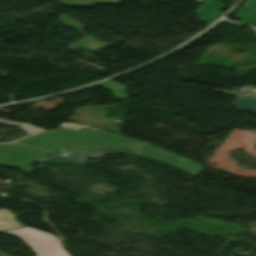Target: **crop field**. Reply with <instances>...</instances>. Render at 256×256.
Returning a JSON list of instances; mask_svg holds the SVG:
<instances>
[{"label": "crop field", "instance_id": "crop-field-1", "mask_svg": "<svg viewBox=\"0 0 256 256\" xmlns=\"http://www.w3.org/2000/svg\"><path fill=\"white\" fill-rule=\"evenodd\" d=\"M136 141L106 133L102 130H63L40 133L0 145V159L12 164H30L48 151H60L82 146H135Z\"/></svg>", "mask_w": 256, "mask_h": 256}, {"label": "crop field", "instance_id": "crop-field-2", "mask_svg": "<svg viewBox=\"0 0 256 256\" xmlns=\"http://www.w3.org/2000/svg\"><path fill=\"white\" fill-rule=\"evenodd\" d=\"M9 212L6 209L0 210V230L22 226L13 219L14 216ZM4 232L21 237L38 256H69L60 246L59 239L53 235L30 227ZM0 256L7 255L0 252Z\"/></svg>", "mask_w": 256, "mask_h": 256}, {"label": "crop field", "instance_id": "crop-field-3", "mask_svg": "<svg viewBox=\"0 0 256 256\" xmlns=\"http://www.w3.org/2000/svg\"><path fill=\"white\" fill-rule=\"evenodd\" d=\"M135 155L160 161L195 175L203 170L201 163L175 155L143 142H137L135 146Z\"/></svg>", "mask_w": 256, "mask_h": 256}, {"label": "crop field", "instance_id": "crop-field-4", "mask_svg": "<svg viewBox=\"0 0 256 256\" xmlns=\"http://www.w3.org/2000/svg\"><path fill=\"white\" fill-rule=\"evenodd\" d=\"M133 153V147L121 148H80L67 151V156L51 155L37 162L76 163L85 164L86 160L105 154Z\"/></svg>", "mask_w": 256, "mask_h": 256}, {"label": "crop field", "instance_id": "crop-field-5", "mask_svg": "<svg viewBox=\"0 0 256 256\" xmlns=\"http://www.w3.org/2000/svg\"><path fill=\"white\" fill-rule=\"evenodd\" d=\"M59 22H61L65 26H69V27L76 29L81 35H83L85 37L84 39L69 45V47H71L75 50L83 47L88 50L99 52V51L113 45L108 42L97 40L93 36L85 35L83 32L86 28V25H84V24L64 15V14H62Z\"/></svg>", "mask_w": 256, "mask_h": 256}, {"label": "crop field", "instance_id": "crop-field-6", "mask_svg": "<svg viewBox=\"0 0 256 256\" xmlns=\"http://www.w3.org/2000/svg\"><path fill=\"white\" fill-rule=\"evenodd\" d=\"M228 7L214 1L206 0L197 10L196 13L200 21L210 25L214 22L219 16L222 15V12Z\"/></svg>", "mask_w": 256, "mask_h": 256}, {"label": "crop field", "instance_id": "crop-field-7", "mask_svg": "<svg viewBox=\"0 0 256 256\" xmlns=\"http://www.w3.org/2000/svg\"><path fill=\"white\" fill-rule=\"evenodd\" d=\"M216 91L238 96L236 101L233 103V106L256 114V98L218 89H216Z\"/></svg>", "mask_w": 256, "mask_h": 256}, {"label": "crop field", "instance_id": "crop-field-8", "mask_svg": "<svg viewBox=\"0 0 256 256\" xmlns=\"http://www.w3.org/2000/svg\"><path fill=\"white\" fill-rule=\"evenodd\" d=\"M121 1L123 0H61V4L65 6L84 7L92 3L118 4Z\"/></svg>", "mask_w": 256, "mask_h": 256}, {"label": "crop field", "instance_id": "crop-field-9", "mask_svg": "<svg viewBox=\"0 0 256 256\" xmlns=\"http://www.w3.org/2000/svg\"><path fill=\"white\" fill-rule=\"evenodd\" d=\"M100 86L107 88L109 90H112L116 99H126L128 98L123 90V86L113 83L111 81H107L103 84H100Z\"/></svg>", "mask_w": 256, "mask_h": 256}, {"label": "crop field", "instance_id": "crop-field-10", "mask_svg": "<svg viewBox=\"0 0 256 256\" xmlns=\"http://www.w3.org/2000/svg\"><path fill=\"white\" fill-rule=\"evenodd\" d=\"M0 123H5V124H9V125L20 127L21 130H23V131H25V132H27L29 134L45 131L44 129L37 128V127H35L33 125L24 124V123H17V122H11V121L2 120V119H0Z\"/></svg>", "mask_w": 256, "mask_h": 256}, {"label": "crop field", "instance_id": "crop-field-11", "mask_svg": "<svg viewBox=\"0 0 256 256\" xmlns=\"http://www.w3.org/2000/svg\"><path fill=\"white\" fill-rule=\"evenodd\" d=\"M0 165L15 166V167H17V168H19V169H21L25 172H31V171L35 170V168L33 166H29V165H11V164H8V163H6L4 161H1V160H0Z\"/></svg>", "mask_w": 256, "mask_h": 256}, {"label": "crop field", "instance_id": "crop-field-12", "mask_svg": "<svg viewBox=\"0 0 256 256\" xmlns=\"http://www.w3.org/2000/svg\"><path fill=\"white\" fill-rule=\"evenodd\" d=\"M242 9L256 12V0H248Z\"/></svg>", "mask_w": 256, "mask_h": 256}, {"label": "crop field", "instance_id": "crop-field-13", "mask_svg": "<svg viewBox=\"0 0 256 256\" xmlns=\"http://www.w3.org/2000/svg\"><path fill=\"white\" fill-rule=\"evenodd\" d=\"M60 127H70V128H75V127H84V128H89L88 126L75 125V124H73V123L60 124Z\"/></svg>", "mask_w": 256, "mask_h": 256}, {"label": "crop field", "instance_id": "crop-field-14", "mask_svg": "<svg viewBox=\"0 0 256 256\" xmlns=\"http://www.w3.org/2000/svg\"><path fill=\"white\" fill-rule=\"evenodd\" d=\"M200 1H203V0H200Z\"/></svg>", "mask_w": 256, "mask_h": 256}]
</instances>
